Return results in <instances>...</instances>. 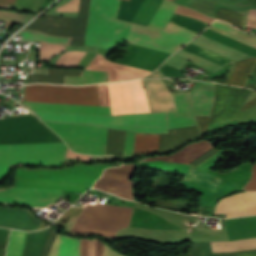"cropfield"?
<instances>
[{
  "instance_id": "obj_1",
  "label": "crop field",
  "mask_w": 256,
  "mask_h": 256,
  "mask_svg": "<svg viewBox=\"0 0 256 256\" xmlns=\"http://www.w3.org/2000/svg\"><path fill=\"white\" fill-rule=\"evenodd\" d=\"M45 121L89 123L119 130L168 133L167 112L101 116L36 111Z\"/></svg>"
},
{
  "instance_id": "obj_2",
  "label": "crop field",
  "mask_w": 256,
  "mask_h": 256,
  "mask_svg": "<svg viewBox=\"0 0 256 256\" xmlns=\"http://www.w3.org/2000/svg\"><path fill=\"white\" fill-rule=\"evenodd\" d=\"M120 0H91L85 46L111 48L125 40L131 23L116 19Z\"/></svg>"
},
{
  "instance_id": "obj_3",
  "label": "crop field",
  "mask_w": 256,
  "mask_h": 256,
  "mask_svg": "<svg viewBox=\"0 0 256 256\" xmlns=\"http://www.w3.org/2000/svg\"><path fill=\"white\" fill-rule=\"evenodd\" d=\"M108 167H111V166H107V165H94L91 167L75 166L71 169H67L64 171L19 170L18 174L61 177V178H70V179H76V180L95 182L99 178V176L102 174V171ZM70 179L18 175L15 186L57 189V190H71V191H78V192L84 193L86 190L90 189L93 184L91 182H83V181H76V180H70Z\"/></svg>"
},
{
  "instance_id": "obj_4",
  "label": "crop field",
  "mask_w": 256,
  "mask_h": 256,
  "mask_svg": "<svg viewBox=\"0 0 256 256\" xmlns=\"http://www.w3.org/2000/svg\"><path fill=\"white\" fill-rule=\"evenodd\" d=\"M8 145H0V171ZM67 147L64 143L9 145L0 179L10 165L17 163L62 166Z\"/></svg>"
},
{
  "instance_id": "obj_5",
  "label": "crop field",
  "mask_w": 256,
  "mask_h": 256,
  "mask_svg": "<svg viewBox=\"0 0 256 256\" xmlns=\"http://www.w3.org/2000/svg\"><path fill=\"white\" fill-rule=\"evenodd\" d=\"M62 142L34 114L0 119V144Z\"/></svg>"
},
{
  "instance_id": "obj_6",
  "label": "crop field",
  "mask_w": 256,
  "mask_h": 256,
  "mask_svg": "<svg viewBox=\"0 0 256 256\" xmlns=\"http://www.w3.org/2000/svg\"><path fill=\"white\" fill-rule=\"evenodd\" d=\"M75 152L104 155L107 128L90 125L44 122Z\"/></svg>"
},
{
  "instance_id": "obj_7",
  "label": "crop field",
  "mask_w": 256,
  "mask_h": 256,
  "mask_svg": "<svg viewBox=\"0 0 256 256\" xmlns=\"http://www.w3.org/2000/svg\"><path fill=\"white\" fill-rule=\"evenodd\" d=\"M196 35L171 22L164 31L132 24L126 41L173 53Z\"/></svg>"
},
{
  "instance_id": "obj_8",
  "label": "crop field",
  "mask_w": 256,
  "mask_h": 256,
  "mask_svg": "<svg viewBox=\"0 0 256 256\" xmlns=\"http://www.w3.org/2000/svg\"><path fill=\"white\" fill-rule=\"evenodd\" d=\"M26 101L99 105L97 85L67 87L55 85H30L25 88Z\"/></svg>"
},
{
  "instance_id": "obj_9",
  "label": "crop field",
  "mask_w": 256,
  "mask_h": 256,
  "mask_svg": "<svg viewBox=\"0 0 256 256\" xmlns=\"http://www.w3.org/2000/svg\"><path fill=\"white\" fill-rule=\"evenodd\" d=\"M113 115L150 112L141 80L108 84Z\"/></svg>"
},
{
  "instance_id": "obj_10",
  "label": "crop field",
  "mask_w": 256,
  "mask_h": 256,
  "mask_svg": "<svg viewBox=\"0 0 256 256\" xmlns=\"http://www.w3.org/2000/svg\"><path fill=\"white\" fill-rule=\"evenodd\" d=\"M249 92L215 85V101L209 124L238 119Z\"/></svg>"
},
{
  "instance_id": "obj_11",
  "label": "crop field",
  "mask_w": 256,
  "mask_h": 256,
  "mask_svg": "<svg viewBox=\"0 0 256 256\" xmlns=\"http://www.w3.org/2000/svg\"><path fill=\"white\" fill-rule=\"evenodd\" d=\"M90 0H81L79 20L78 18H63L44 16L37 19L26 29L43 31L50 35L71 37L77 26H86Z\"/></svg>"
},
{
  "instance_id": "obj_12",
  "label": "crop field",
  "mask_w": 256,
  "mask_h": 256,
  "mask_svg": "<svg viewBox=\"0 0 256 256\" xmlns=\"http://www.w3.org/2000/svg\"><path fill=\"white\" fill-rule=\"evenodd\" d=\"M12 192L29 202L35 207L50 208L60 198L63 191L45 190V189H32L13 187ZM0 202L14 205L31 206L10 191H0Z\"/></svg>"
},
{
  "instance_id": "obj_13",
  "label": "crop field",
  "mask_w": 256,
  "mask_h": 256,
  "mask_svg": "<svg viewBox=\"0 0 256 256\" xmlns=\"http://www.w3.org/2000/svg\"><path fill=\"white\" fill-rule=\"evenodd\" d=\"M226 213V218L256 214V192H240L218 201L214 214Z\"/></svg>"
},
{
  "instance_id": "obj_14",
  "label": "crop field",
  "mask_w": 256,
  "mask_h": 256,
  "mask_svg": "<svg viewBox=\"0 0 256 256\" xmlns=\"http://www.w3.org/2000/svg\"><path fill=\"white\" fill-rule=\"evenodd\" d=\"M201 133L207 132L209 117H195ZM197 127L169 130V135L161 134L159 152L174 150L180 144L200 136Z\"/></svg>"
},
{
  "instance_id": "obj_15",
  "label": "crop field",
  "mask_w": 256,
  "mask_h": 256,
  "mask_svg": "<svg viewBox=\"0 0 256 256\" xmlns=\"http://www.w3.org/2000/svg\"><path fill=\"white\" fill-rule=\"evenodd\" d=\"M151 112L177 110L170 91L161 80H142Z\"/></svg>"
},
{
  "instance_id": "obj_16",
  "label": "crop field",
  "mask_w": 256,
  "mask_h": 256,
  "mask_svg": "<svg viewBox=\"0 0 256 256\" xmlns=\"http://www.w3.org/2000/svg\"><path fill=\"white\" fill-rule=\"evenodd\" d=\"M178 111L168 112L169 129L197 126L190 93L173 95Z\"/></svg>"
},
{
  "instance_id": "obj_17",
  "label": "crop field",
  "mask_w": 256,
  "mask_h": 256,
  "mask_svg": "<svg viewBox=\"0 0 256 256\" xmlns=\"http://www.w3.org/2000/svg\"><path fill=\"white\" fill-rule=\"evenodd\" d=\"M40 221L29 211L0 208V226L20 230H36Z\"/></svg>"
},
{
  "instance_id": "obj_18",
  "label": "crop field",
  "mask_w": 256,
  "mask_h": 256,
  "mask_svg": "<svg viewBox=\"0 0 256 256\" xmlns=\"http://www.w3.org/2000/svg\"><path fill=\"white\" fill-rule=\"evenodd\" d=\"M176 8H177V5H174L172 3H169L165 0H163L162 4L160 5L159 9L157 10L155 16L153 17L152 21L150 22L149 27L164 30L165 26L167 25L168 21L170 20L172 14L174 13ZM175 13L191 16V17L200 19V20L208 22V23L213 21V19H211L205 15L199 14L193 10L184 8L182 6H178Z\"/></svg>"
},
{
  "instance_id": "obj_19",
  "label": "crop field",
  "mask_w": 256,
  "mask_h": 256,
  "mask_svg": "<svg viewBox=\"0 0 256 256\" xmlns=\"http://www.w3.org/2000/svg\"><path fill=\"white\" fill-rule=\"evenodd\" d=\"M214 100V84L197 82L192 88V101L195 115L210 116Z\"/></svg>"
},
{
  "instance_id": "obj_20",
  "label": "crop field",
  "mask_w": 256,
  "mask_h": 256,
  "mask_svg": "<svg viewBox=\"0 0 256 256\" xmlns=\"http://www.w3.org/2000/svg\"><path fill=\"white\" fill-rule=\"evenodd\" d=\"M32 110L112 115L110 108L23 102Z\"/></svg>"
},
{
  "instance_id": "obj_21",
  "label": "crop field",
  "mask_w": 256,
  "mask_h": 256,
  "mask_svg": "<svg viewBox=\"0 0 256 256\" xmlns=\"http://www.w3.org/2000/svg\"><path fill=\"white\" fill-rule=\"evenodd\" d=\"M62 241L63 235H57L49 256L62 255ZM80 253V240L76 238H69L64 235L63 242V256H79Z\"/></svg>"
},
{
  "instance_id": "obj_22",
  "label": "crop field",
  "mask_w": 256,
  "mask_h": 256,
  "mask_svg": "<svg viewBox=\"0 0 256 256\" xmlns=\"http://www.w3.org/2000/svg\"><path fill=\"white\" fill-rule=\"evenodd\" d=\"M48 229L38 232H27L22 256H40Z\"/></svg>"
},
{
  "instance_id": "obj_23",
  "label": "crop field",
  "mask_w": 256,
  "mask_h": 256,
  "mask_svg": "<svg viewBox=\"0 0 256 256\" xmlns=\"http://www.w3.org/2000/svg\"><path fill=\"white\" fill-rule=\"evenodd\" d=\"M160 134L135 133L134 154L158 151Z\"/></svg>"
},
{
  "instance_id": "obj_24",
  "label": "crop field",
  "mask_w": 256,
  "mask_h": 256,
  "mask_svg": "<svg viewBox=\"0 0 256 256\" xmlns=\"http://www.w3.org/2000/svg\"><path fill=\"white\" fill-rule=\"evenodd\" d=\"M213 252H236L256 249V238L224 242H211Z\"/></svg>"
},
{
  "instance_id": "obj_25",
  "label": "crop field",
  "mask_w": 256,
  "mask_h": 256,
  "mask_svg": "<svg viewBox=\"0 0 256 256\" xmlns=\"http://www.w3.org/2000/svg\"><path fill=\"white\" fill-rule=\"evenodd\" d=\"M80 70H59V69H49V77L40 75H31L29 77L28 83H58L63 84L64 76H80Z\"/></svg>"
},
{
  "instance_id": "obj_26",
  "label": "crop field",
  "mask_w": 256,
  "mask_h": 256,
  "mask_svg": "<svg viewBox=\"0 0 256 256\" xmlns=\"http://www.w3.org/2000/svg\"><path fill=\"white\" fill-rule=\"evenodd\" d=\"M185 178L200 184L204 187H207L213 191L218 187V185L221 183L222 179L215 177L209 173H206L202 170H199L197 168H194L191 166L190 170L188 171ZM184 178V179H185Z\"/></svg>"
},
{
  "instance_id": "obj_27",
  "label": "crop field",
  "mask_w": 256,
  "mask_h": 256,
  "mask_svg": "<svg viewBox=\"0 0 256 256\" xmlns=\"http://www.w3.org/2000/svg\"><path fill=\"white\" fill-rule=\"evenodd\" d=\"M126 132L109 129L106 154H112L122 159Z\"/></svg>"
},
{
  "instance_id": "obj_28",
  "label": "crop field",
  "mask_w": 256,
  "mask_h": 256,
  "mask_svg": "<svg viewBox=\"0 0 256 256\" xmlns=\"http://www.w3.org/2000/svg\"><path fill=\"white\" fill-rule=\"evenodd\" d=\"M255 62L256 58H251L249 60L239 62L228 84L243 87Z\"/></svg>"
},
{
  "instance_id": "obj_29",
  "label": "crop field",
  "mask_w": 256,
  "mask_h": 256,
  "mask_svg": "<svg viewBox=\"0 0 256 256\" xmlns=\"http://www.w3.org/2000/svg\"><path fill=\"white\" fill-rule=\"evenodd\" d=\"M19 35L23 36L21 41L45 42V43H53V44H61V45H68L71 40L66 38L49 36L43 33L35 32V31H23Z\"/></svg>"
},
{
  "instance_id": "obj_30",
  "label": "crop field",
  "mask_w": 256,
  "mask_h": 256,
  "mask_svg": "<svg viewBox=\"0 0 256 256\" xmlns=\"http://www.w3.org/2000/svg\"><path fill=\"white\" fill-rule=\"evenodd\" d=\"M106 82V73L82 71L81 77H65L64 84L81 85Z\"/></svg>"
},
{
  "instance_id": "obj_31",
  "label": "crop field",
  "mask_w": 256,
  "mask_h": 256,
  "mask_svg": "<svg viewBox=\"0 0 256 256\" xmlns=\"http://www.w3.org/2000/svg\"><path fill=\"white\" fill-rule=\"evenodd\" d=\"M26 232L11 230L6 256H21Z\"/></svg>"
},
{
  "instance_id": "obj_32",
  "label": "crop field",
  "mask_w": 256,
  "mask_h": 256,
  "mask_svg": "<svg viewBox=\"0 0 256 256\" xmlns=\"http://www.w3.org/2000/svg\"><path fill=\"white\" fill-rule=\"evenodd\" d=\"M171 22L176 23L185 28H188L197 33L201 32L208 25V23L200 22V21L192 19L190 17L176 15V14L173 15Z\"/></svg>"
},
{
  "instance_id": "obj_33",
  "label": "crop field",
  "mask_w": 256,
  "mask_h": 256,
  "mask_svg": "<svg viewBox=\"0 0 256 256\" xmlns=\"http://www.w3.org/2000/svg\"><path fill=\"white\" fill-rule=\"evenodd\" d=\"M182 50H185V51L197 54V55L202 56V57H205V58H207L209 60H212V61H214L216 63H219V64H221L223 66H226L228 64L233 63V62H231V61H229V60H227V59H225V58H223L221 56H218L216 54L208 52V51H206V50H204L202 48H199V47H197V46H195V45H193L191 43L185 45L182 48Z\"/></svg>"
},
{
  "instance_id": "obj_34",
  "label": "crop field",
  "mask_w": 256,
  "mask_h": 256,
  "mask_svg": "<svg viewBox=\"0 0 256 256\" xmlns=\"http://www.w3.org/2000/svg\"><path fill=\"white\" fill-rule=\"evenodd\" d=\"M142 166H150L155 168H164L172 171H180L187 173L188 169L190 168L189 165L171 163V162H163V161H154V162H145L141 163Z\"/></svg>"
},
{
  "instance_id": "obj_35",
  "label": "crop field",
  "mask_w": 256,
  "mask_h": 256,
  "mask_svg": "<svg viewBox=\"0 0 256 256\" xmlns=\"http://www.w3.org/2000/svg\"><path fill=\"white\" fill-rule=\"evenodd\" d=\"M209 29L214 30L218 33H221L223 35H226L228 37H231L233 39H236L240 42H243L245 44H248V45L253 46V47L256 48V36H252V35H249V34H246V33H243V32H239V31H237L234 35H232L230 33L222 31L218 28H215L213 26L209 27Z\"/></svg>"
},
{
  "instance_id": "obj_36",
  "label": "crop field",
  "mask_w": 256,
  "mask_h": 256,
  "mask_svg": "<svg viewBox=\"0 0 256 256\" xmlns=\"http://www.w3.org/2000/svg\"><path fill=\"white\" fill-rule=\"evenodd\" d=\"M65 50L64 46L42 43L39 48L40 59L49 60L53 55Z\"/></svg>"
},
{
  "instance_id": "obj_37",
  "label": "crop field",
  "mask_w": 256,
  "mask_h": 256,
  "mask_svg": "<svg viewBox=\"0 0 256 256\" xmlns=\"http://www.w3.org/2000/svg\"><path fill=\"white\" fill-rule=\"evenodd\" d=\"M216 18L224 19L238 27H241L244 17L226 9H219Z\"/></svg>"
},
{
  "instance_id": "obj_38",
  "label": "crop field",
  "mask_w": 256,
  "mask_h": 256,
  "mask_svg": "<svg viewBox=\"0 0 256 256\" xmlns=\"http://www.w3.org/2000/svg\"><path fill=\"white\" fill-rule=\"evenodd\" d=\"M33 16L34 15L13 14V13H7V12L0 11V20L8 21V22L23 23V22L29 20Z\"/></svg>"
},
{
  "instance_id": "obj_39",
  "label": "crop field",
  "mask_w": 256,
  "mask_h": 256,
  "mask_svg": "<svg viewBox=\"0 0 256 256\" xmlns=\"http://www.w3.org/2000/svg\"><path fill=\"white\" fill-rule=\"evenodd\" d=\"M85 29H86V27H77L76 28L70 45L84 46Z\"/></svg>"
},
{
  "instance_id": "obj_40",
  "label": "crop field",
  "mask_w": 256,
  "mask_h": 256,
  "mask_svg": "<svg viewBox=\"0 0 256 256\" xmlns=\"http://www.w3.org/2000/svg\"><path fill=\"white\" fill-rule=\"evenodd\" d=\"M95 244H96V239L94 241H89L88 256H95ZM103 248H104V243L97 240L96 256H103Z\"/></svg>"
},
{
  "instance_id": "obj_41",
  "label": "crop field",
  "mask_w": 256,
  "mask_h": 256,
  "mask_svg": "<svg viewBox=\"0 0 256 256\" xmlns=\"http://www.w3.org/2000/svg\"><path fill=\"white\" fill-rule=\"evenodd\" d=\"M219 256H256V250L236 252V253H218ZM191 256H197L195 245L192 243Z\"/></svg>"
},
{
  "instance_id": "obj_42",
  "label": "crop field",
  "mask_w": 256,
  "mask_h": 256,
  "mask_svg": "<svg viewBox=\"0 0 256 256\" xmlns=\"http://www.w3.org/2000/svg\"><path fill=\"white\" fill-rule=\"evenodd\" d=\"M157 71L163 73L167 77H179L183 72L181 70L175 69V68L167 66L165 64H163L161 67H159L157 69Z\"/></svg>"
},
{
  "instance_id": "obj_43",
  "label": "crop field",
  "mask_w": 256,
  "mask_h": 256,
  "mask_svg": "<svg viewBox=\"0 0 256 256\" xmlns=\"http://www.w3.org/2000/svg\"><path fill=\"white\" fill-rule=\"evenodd\" d=\"M216 153H218L214 148L209 150L208 152H206L205 154H203L202 156H200L199 158H197L196 160H194L193 162H191L189 165H193V166H198L199 164H201L202 162H204L205 160L209 159L210 157H212L213 155H215Z\"/></svg>"
},
{
  "instance_id": "obj_44",
  "label": "crop field",
  "mask_w": 256,
  "mask_h": 256,
  "mask_svg": "<svg viewBox=\"0 0 256 256\" xmlns=\"http://www.w3.org/2000/svg\"><path fill=\"white\" fill-rule=\"evenodd\" d=\"M134 133L127 132L124 155H133Z\"/></svg>"
},
{
  "instance_id": "obj_45",
  "label": "crop field",
  "mask_w": 256,
  "mask_h": 256,
  "mask_svg": "<svg viewBox=\"0 0 256 256\" xmlns=\"http://www.w3.org/2000/svg\"><path fill=\"white\" fill-rule=\"evenodd\" d=\"M89 158H90V156L74 153L68 149L65 160H85V159H89Z\"/></svg>"
},
{
  "instance_id": "obj_46",
  "label": "crop field",
  "mask_w": 256,
  "mask_h": 256,
  "mask_svg": "<svg viewBox=\"0 0 256 256\" xmlns=\"http://www.w3.org/2000/svg\"><path fill=\"white\" fill-rule=\"evenodd\" d=\"M212 25H214L216 27H219V28H221V29H223L225 31H228V32H230L232 34H234L237 31V29L231 27L230 25H228L227 23L222 22V21H214L212 23Z\"/></svg>"
},
{
  "instance_id": "obj_47",
  "label": "crop field",
  "mask_w": 256,
  "mask_h": 256,
  "mask_svg": "<svg viewBox=\"0 0 256 256\" xmlns=\"http://www.w3.org/2000/svg\"><path fill=\"white\" fill-rule=\"evenodd\" d=\"M245 190H256V164L253 166L252 178L248 184H246Z\"/></svg>"
},
{
  "instance_id": "obj_48",
  "label": "crop field",
  "mask_w": 256,
  "mask_h": 256,
  "mask_svg": "<svg viewBox=\"0 0 256 256\" xmlns=\"http://www.w3.org/2000/svg\"><path fill=\"white\" fill-rule=\"evenodd\" d=\"M8 229L0 228V247H6L8 240Z\"/></svg>"
},
{
  "instance_id": "obj_49",
  "label": "crop field",
  "mask_w": 256,
  "mask_h": 256,
  "mask_svg": "<svg viewBox=\"0 0 256 256\" xmlns=\"http://www.w3.org/2000/svg\"><path fill=\"white\" fill-rule=\"evenodd\" d=\"M104 256H121V255L112 252L109 248H107V247L105 246V249H104Z\"/></svg>"
},
{
  "instance_id": "obj_50",
  "label": "crop field",
  "mask_w": 256,
  "mask_h": 256,
  "mask_svg": "<svg viewBox=\"0 0 256 256\" xmlns=\"http://www.w3.org/2000/svg\"><path fill=\"white\" fill-rule=\"evenodd\" d=\"M254 105H256V99L253 100V101H251V102H249V103H247V104H245V105L243 106V109H242V110H244V109H246V108H250V107H252V106H254Z\"/></svg>"
},
{
  "instance_id": "obj_51",
  "label": "crop field",
  "mask_w": 256,
  "mask_h": 256,
  "mask_svg": "<svg viewBox=\"0 0 256 256\" xmlns=\"http://www.w3.org/2000/svg\"><path fill=\"white\" fill-rule=\"evenodd\" d=\"M0 3L15 5L16 0H0Z\"/></svg>"
},
{
  "instance_id": "obj_52",
  "label": "crop field",
  "mask_w": 256,
  "mask_h": 256,
  "mask_svg": "<svg viewBox=\"0 0 256 256\" xmlns=\"http://www.w3.org/2000/svg\"><path fill=\"white\" fill-rule=\"evenodd\" d=\"M157 77H163L162 75L158 74L156 71L153 72L151 75L145 77V78H157Z\"/></svg>"
},
{
  "instance_id": "obj_53",
  "label": "crop field",
  "mask_w": 256,
  "mask_h": 256,
  "mask_svg": "<svg viewBox=\"0 0 256 256\" xmlns=\"http://www.w3.org/2000/svg\"><path fill=\"white\" fill-rule=\"evenodd\" d=\"M6 6H7V5H1V4H0V7H6Z\"/></svg>"
},
{
  "instance_id": "obj_54",
  "label": "crop field",
  "mask_w": 256,
  "mask_h": 256,
  "mask_svg": "<svg viewBox=\"0 0 256 256\" xmlns=\"http://www.w3.org/2000/svg\"><path fill=\"white\" fill-rule=\"evenodd\" d=\"M172 1H174V2H175V0H172Z\"/></svg>"
},
{
  "instance_id": "obj_55",
  "label": "crop field",
  "mask_w": 256,
  "mask_h": 256,
  "mask_svg": "<svg viewBox=\"0 0 256 256\" xmlns=\"http://www.w3.org/2000/svg\"><path fill=\"white\" fill-rule=\"evenodd\" d=\"M130 1V0H129Z\"/></svg>"
}]
</instances>
